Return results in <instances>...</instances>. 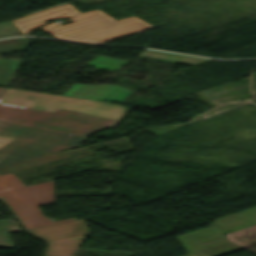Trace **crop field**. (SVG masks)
I'll return each instance as SVG.
<instances>
[{"mask_svg":"<svg viewBox=\"0 0 256 256\" xmlns=\"http://www.w3.org/2000/svg\"><path fill=\"white\" fill-rule=\"evenodd\" d=\"M99 11L80 14L67 3L12 20V22L24 35H27L31 29L43 25L47 20L69 17L75 22L65 26L53 22L40 29L57 38L93 43H101L154 28L133 16L116 21Z\"/></svg>","mask_w":256,"mask_h":256,"instance_id":"8a807250","label":"crop field"},{"mask_svg":"<svg viewBox=\"0 0 256 256\" xmlns=\"http://www.w3.org/2000/svg\"><path fill=\"white\" fill-rule=\"evenodd\" d=\"M0 198L10 207L26 230L76 219L72 217L53 221L41 213L38 206L54 202L53 180L25 186L12 172L2 174Z\"/></svg>","mask_w":256,"mask_h":256,"instance_id":"ac0d7876","label":"crop field"},{"mask_svg":"<svg viewBox=\"0 0 256 256\" xmlns=\"http://www.w3.org/2000/svg\"><path fill=\"white\" fill-rule=\"evenodd\" d=\"M0 121L87 138L90 133L112 128L117 122L58 109L43 112L0 106Z\"/></svg>","mask_w":256,"mask_h":256,"instance_id":"34b2d1b8","label":"crop field"},{"mask_svg":"<svg viewBox=\"0 0 256 256\" xmlns=\"http://www.w3.org/2000/svg\"><path fill=\"white\" fill-rule=\"evenodd\" d=\"M84 140V138L30 128L0 149V155L7 156L0 161V168L57 153L60 148L76 147ZM11 157L17 159L13 160Z\"/></svg>","mask_w":256,"mask_h":256,"instance_id":"412701ff","label":"crop field"},{"mask_svg":"<svg viewBox=\"0 0 256 256\" xmlns=\"http://www.w3.org/2000/svg\"><path fill=\"white\" fill-rule=\"evenodd\" d=\"M48 242L47 256H74L88 235L84 219L29 230Z\"/></svg>","mask_w":256,"mask_h":256,"instance_id":"f4fd0767","label":"crop field"},{"mask_svg":"<svg viewBox=\"0 0 256 256\" xmlns=\"http://www.w3.org/2000/svg\"><path fill=\"white\" fill-rule=\"evenodd\" d=\"M256 208L214 220L223 234L256 224ZM225 238V237H224ZM216 226L195 233L178 237L179 241L190 252L226 243Z\"/></svg>","mask_w":256,"mask_h":256,"instance_id":"dd49c442","label":"crop field"},{"mask_svg":"<svg viewBox=\"0 0 256 256\" xmlns=\"http://www.w3.org/2000/svg\"><path fill=\"white\" fill-rule=\"evenodd\" d=\"M132 92L119 86L113 85H100V86H87L81 84L73 85L64 95L121 103Z\"/></svg>","mask_w":256,"mask_h":256,"instance_id":"e52e79f7","label":"crop field"},{"mask_svg":"<svg viewBox=\"0 0 256 256\" xmlns=\"http://www.w3.org/2000/svg\"><path fill=\"white\" fill-rule=\"evenodd\" d=\"M27 129L28 127L10 125L0 122V148L5 146L7 143L12 141L16 137H18Z\"/></svg>","mask_w":256,"mask_h":256,"instance_id":"d8731c3e","label":"crop field"},{"mask_svg":"<svg viewBox=\"0 0 256 256\" xmlns=\"http://www.w3.org/2000/svg\"><path fill=\"white\" fill-rule=\"evenodd\" d=\"M21 60H0V86L8 87Z\"/></svg>","mask_w":256,"mask_h":256,"instance_id":"5a996713","label":"crop field"},{"mask_svg":"<svg viewBox=\"0 0 256 256\" xmlns=\"http://www.w3.org/2000/svg\"><path fill=\"white\" fill-rule=\"evenodd\" d=\"M20 231L14 220L0 221V247L13 248L9 232Z\"/></svg>","mask_w":256,"mask_h":256,"instance_id":"3316defc","label":"crop field"},{"mask_svg":"<svg viewBox=\"0 0 256 256\" xmlns=\"http://www.w3.org/2000/svg\"><path fill=\"white\" fill-rule=\"evenodd\" d=\"M30 41L26 37L11 38L0 41V53H10L26 50Z\"/></svg>","mask_w":256,"mask_h":256,"instance_id":"28ad6ade","label":"crop field"},{"mask_svg":"<svg viewBox=\"0 0 256 256\" xmlns=\"http://www.w3.org/2000/svg\"><path fill=\"white\" fill-rule=\"evenodd\" d=\"M240 249H243V248L233 245L231 243H228L225 245H221V246L211 248L205 251H201L195 254H191L188 256H223Z\"/></svg>","mask_w":256,"mask_h":256,"instance_id":"d1516ede","label":"crop field"},{"mask_svg":"<svg viewBox=\"0 0 256 256\" xmlns=\"http://www.w3.org/2000/svg\"><path fill=\"white\" fill-rule=\"evenodd\" d=\"M126 62L127 61L116 60V59H111V58H107V57L98 56L96 59H94L88 65L115 71L119 67L124 65Z\"/></svg>","mask_w":256,"mask_h":256,"instance_id":"22f410ed","label":"crop field"},{"mask_svg":"<svg viewBox=\"0 0 256 256\" xmlns=\"http://www.w3.org/2000/svg\"><path fill=\"white\" fill-rule=\"evenodd\" d=\"M14 35H23L17 27L11 22L0 23V38Z\"/></svg>","mask_w":256,"mask_h":256,"instance_id":"cbeb9de0","label":"crop field"},{"mask_svg":"<svg viewBox=\"0 0 256 256\" xmlns=\"http://www.w3.org/2000/svg\"><path fill=\"white\" fill-rule=\"evenodd\" d=\"M4 90H5L4 88H0V94H1Z\"/></svg>","mask_w":256,"mask_h":256,"instance_id":"5142ce71","label":"crop field"},{"mask_svg":"<svg viewBox=\"0 0 256 256\" xmlns=\"http://www.w3.org/2000/svg\"><path fill=\"white\" fill-rule=\"evenodd\" d=\"M3 158H4V156H0V160L3 159Z\"/></svg>","mask_w":256,"mask_h":256,"instance_id":"d9b57169","label":"crop field"}]
</instances>
